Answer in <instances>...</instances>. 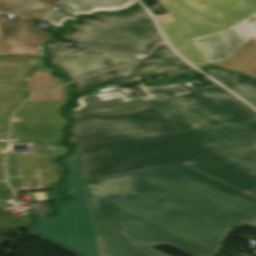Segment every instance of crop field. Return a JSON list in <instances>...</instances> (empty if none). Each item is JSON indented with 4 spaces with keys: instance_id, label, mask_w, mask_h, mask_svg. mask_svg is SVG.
Returning a JSON list of instances; mask_svg holds the SVG:
<instances>
[{
    "instance_id": "obj_1",
    "label": "crop field",
    "mask_w": 256,
    "mask_h": 256,
    "mask_svg": "<svg viewBox=\"0 0 256 256\" xmlns=\"http://www.w3.org/2000/svg\"><path fill=\"white\" fill-rule=\"evenodd\" d=\"M85 182L101 256H167L158 245L210 256L228 228L256 219V199L183 164Z\"/></svg>"
},
{
    "instance_id": "obj_2",
    "label": "crop field",
    "mask_w": 256,
    "mask_h": 256,
    "mask_svg": "<svg viewBox=\"0 0 256 256\" xmlns=\"http://www.w3.org/2000/svg\"><path fill=\"white\" fill-rule=\"evenodd\" d=\"M77 146L85 179L186 161L197 171L248 165L256 121Z\"/></svg>"
},
{
    "instance_id": "obj_3",
    "label": "crop field",
    "mask_w": 256,
    "mask_h": 256,
    "mask_svg": "<svg viewBox=\"0 0 256 256\" xmlns=\"http://www.w3.org/2000/svg\"><path fill=\"white\" fill-rule=\"evenodd\" d=\"M68 142L94 143L256 120V111L218 85L150 102L71 112Z\"/></svg>"
},
{
    "instance_id": "obj_4",
    "label": "crop field",
    "mask_w": 256,
    "mask_h": 256,
    "mask_svg": "<svg viewBox=\"0 0 256 256\" xmlns=\"http://www.w3.org/2000/svg\"><path fill=\"white\" fill-rule=\"evenodd\" d=\"M176 21L161 24L168 41L196 66L206 60L190 39L230 27L256 11L255 0H166Z\"/></svg>"
},
{
    "instance_id": "obj_5",
    "label": "crop field",
    "mask_w": 256,
    "mask_h": 256,
    "mask_svg": "<svg viewBox=\"0 0 256 256\" xmlns=\"http://www.w3.org/2000/svg\"><path fill=\"white\" fill-rule=\"evenodd\" d=\"M61 162L69 171L60 188L71 200L56 206L55 217L39 218L29 230L81 256H100L78 149Z\"/></svg>"
},
{
    "instance_id": "obj_6",
    "label": "crop field",
    "mask_w": 256,
    "mask_h": 256,
    "mask_svg": "<svg viewBox=\"0 0 256 256\" xmlns=\"http://www.w3.org/2000/svg\"><path fill=\"white\" fill-rule=\"evenodd\" d=\"M99 20L83 19L81 25L70 24L77 31L62 35L65 41L100 48L134 53H148L161 40L144 9L137 8L127 15L108 13Z\"/></svg>"
},
{
    "instance_id": "obj_7",
    "label": "crop field",
    "mask_w": 256,
    "mask_h": 256,
    "mask_svg": "<svg viewBox=\"0 0 256 256\" xmlns=\"http://www.w3.org/2000/svg\"><path fill=\"white\" fill-rule=\"evenodd\" d=\"M48 57L52 59V66L63 69L60 76L66 80L80 79L101 71H105L126 63L135 61L133 55L78 46L75 49L46 44Z\"/></svg>"
},
{
    "instance_id": "obj_8",
    "label": "crop field",
    "mask_w": 256,
    "mask_h": 256,
    "mask_svg": "<svg viewBox=\"0 0 256 256\" xmlns=\"http://www.w3.org/2000/svg\"><path fill=\"white\" fill-rule=\"evenodd\" d=\"M0 13V25L8 55L44 57L42 41L52 38L50 34L34 30L32 20L19 15L5 21Z\"/></svg>"
},
{
    "instance_id": "obj_9",
    "label": "crop field",
    "mask_w": 256,
    "mask_h": 256,
    "mask_svg": "<svg viewBox=\"0 0 256 256\" xmlns=\"http://www.w3.org/2000/svg\"><path fill=\"white\" fill-rule=\"evenodd\" d=\"M189 68L187 64L135 62L99 75L75 82L76 91L105 82L126 84L138 79H147Z\"/></svg>"
},
{
    "instance_id": "obj_10",
    "label": "crop field",
    "mask_w": 256,
    "mask_h": 256,
    "mask_svg": "<svg viewBox=\"0 0 256 256\" xmlns=\"http://www.w3.org/2000/svg\"><path fill=\"white\" fill-rule=\"evenodd\" d=\"M105 88V87H102ZM148 96L131 98L127 99L120 92H108L101 94L99 89L94 90L90 94L79 97L78 102L80 104L79 107L71 110H84L90 108L104 107V106H112V105H120V104H128V103H136L143 102L149 100L170 98V97H178L181 95H185L190 93L185 88L181 87L178 84H171L166 86H150L147 87L143 83L137 87Z\"/></svg>"
},
{
    "instance_id": "obj_11",
    "label": "crop field",
    "mask_w": 256,
    "mask_h": 256,
    "mask_svg": "<svg viewBox=\"0 0 256 256\" xmlns=\"http://www.w3.org/2000/svg\"><path fill=\"white\" fill-rule=\"evenodd\" d=\"M249 38H252L251 35L240 22L230 28L192 39V42L207 62H213L227 58Z\"/></svg>"
},
{
    "instance_id": "obj_12",
    "label": "crop field",
    "mask_w": 256,
    "mask_h": 256,
    "mask_svg": "<svg viewBox=\"0 0 256 256\" xmlns=\"http://www.w3.org/2000/svg\"><path fill=\"white\" fill-rule=\"evenodd\" d=\"M202 173L243 193L256 189V164L202 171Z\"/></svg>"
},
{
    "instance_id": "obj_13",
    "label": "crop field",
    "mask_w": 256,
    "mask_h": 256,
    "mask_svg": "<svg viewBox=\"0 0 256 256\" xmlns=\"http://www.w3.org/2000/svg\"><path fill=\"white\" fill-rule=\"evenodd\" d=\"M133 4L134 0H63L56 6L64 12L78 16L92 11L123 10Z\"/></svg>"
},
{
    "instance_id": "obj_14",
    "label": "crop field",
    "mask_w": 256,
    "mask_h": 256,
    "mask_svg": "<svg viewBox=\"0 0 256 256\" xmlns=\"http://www.w3.org/2000/svg\"><path fill=\"white\" fill-rule=\"evenodd\" d=\"M256 77V40H250L227 61L211 64Z\"/></svg>"
},
{
    "instance_id": "obj_15",
    "label": "crop field",
    "mask_w": 256,
    "mask_h": 256,
    "mask_svg": "<svg viewBox=\"0 0 256 256\" xmlns=\"http://www.w3.org/2000/svg\"><path fill=\"white\" fill-rule=\"evenodd\" d=\"M51 6L46 0H0V11L17 13L35 20L42 18Z\"/></svg>"
},
{
    "instance_id": "obj_16",
    "label": "crop field",
    "mask_w": 256,
    "mask_h": 256,
    "mask_svg": "<svg viewBox=\"0 0 256 256\" xmlns=\"http://www.w3.org/2000/svg\"><path fill=\"white\" fill-rule=\"evenodd\" d=\"M207 72L256 107V84L249 81L242 82L237 78L238 74L225 70H209Z\"/></svg>"
},
{
    "instance_id": "obj_17",
    "label": "crop field",
    "mask_w": 256,
    "mask_h": 256,
    "mask_svg": "<svg viewBox=\"0 0 256 256\" xmlns=\"http://www.w3.org/2000/svg\"><path fill=\"white\" fill-rule=\"evenodd\" d=\"M142 61L183 63L165 44H160L154 52Z\"/></svg>"
},
{
    "instance_id": "obj_18",
    "label": "crop field",
    "mask_w": 256,
    "mask_h": 256,
    "mask_svg": "<svg viewBox=\"0 0 256 256\" xmlns=\"http://www.w3.org/2000/svg\"><path fill=\"white\" fill-rule=\"evenodd\" d=\"M66 19H70L72 21H76L77 18L66 14V13H62L56 10H51L47 16L43 19V21L49 22L51 23L50 25L58 27L61 26L63 21Z\"/></svg>"
},
{
    "instance_id": "obj_19",
    "label": "crop field",
    "mask_w": 256,
    "mask_h": 256,
    "mask_svg": "<svg viewBox=\"0 0 256 256\" xmlns=\"http://www.w3.org/2000/svg\"><path fill=\"white\" fill-rule=\"evenodd\" d=\"M253 38H256V12L241 21Z\"/></svg>"
},
{
    "instance_id": "obj_20",
    "label": "crop field",
    "mask_w": 256,
    "mask_h": 256,
    "mask_svg": "<svg viewBox=\"0 0 256 256\" xmlns=\"http://www.w3.org/2000/svg\"><path fill=\"white\" fill-rule=\"evenodd\" d=\"M194 73H195V70H191V71H186V72H182V73H178V74H174V75H170V76H166V77L150 80V81H147V82L148 83L166 82V81L172 80V79H174V78H176L178 76H184L186 78H191Z\"/></svg>"
},
{
    "instance_id": "obj_21",
    "label": "crop field",
    "mask_w": 256,
    "mask_h": 256,
    "mask_svg": "<svg viewBox=\"0 0 256 256\" xmlns=\"http://www.w3.org/2000/svg\"><path fill=\"white\" fill-rule=\"evenodd\" d=\"M0 55H7L5 46H4V42H3V38H2L1 29H0Z\"/></svg>"
},
{
    "instance_id": "obj_22",
    "label": "crop field",
    "mask_w": 256,
    "mask_h": 256,
    "mask_svg": "<svg viewBox=\"0 0 256 256\" xmlns=\"http://www.w3.org/2000/svg\"><path fill=\"white\" fill-rule=\"evenodd\" d=\"M8 127H9V125L5 126V131H4L5 138H8ZM0 141H7V139H0Z\"/></svg>"
},
{
    "instance_id": "obj_23",
    "label": "crop field",
    "mask_w": 256,
    "mask_h": 256,
    "mask_svg": "<svg viewBox=\"0 0 256 256\" xmlns=\"http://www.w3.org/2000/svg\"><path fill=\"white\" fill-rule=\"evenodd\" d=\"M11 228H0V236L4 233H6L7 231H9Z\"/></svg>"
},
{
    "instance_id": "obj_24",
    "label": "crop field",
    "mask_w": 256,
    "mask_h": 256,
    "mask_svg": "<svg viewBox=\"0 0 256 256\" xmlns=\"http://www.w3.org/2000/svg\"><path fill=\"white\" fill-rule=\"evenodd\" d=\"M246 194H248V195H250V196H252V197L256 198V190L251 191V192L246 193Z\"/></svg>"
},
{
    "instance_id": "obj_25",
    "label": "crop field",
    "mask_w": 256,
    "mask_h": 256,
    "mask_svg": "<svg viewBox=\"0 0 256 256\" xmlns=\"http://www.w3.org/2000/svg\"><path fill=\"white\" fill-rule=\"evenodd\" d=\"M252 227L256 228V222L249 223Z\"/></svg>"
},
{
    "instance_id": "obj_26",
    "label": "crop field",
    "mask_w": 256,
    "mask_h": 256,
    "mask_svg": "<svg viewBox=\"0 0 256 256\" xmlns=\"http://www.w3.org/2000/svg\"><path fill=\"white\" fill-rule=\"evenodd\" d=\"M36 154H40L39 148H36Z\"/></svg>"
},
{
    "instance_id": "obj_27",
    "label": "crop field",
    "mask_w": 256,
    "mask_h": 256,
    "mask_svg": "<svg viewBox=\"0 0 256 256\" xmlns=\"http://www.w3.org/2000/svg\"><path fill=\"white\" fill-rule=\"evenodd\" d=\"M4 152H5V149H3V151H2V156H1L2 159L4 157Z\"/></svg>"
},
{
    "instance_id": "obj_28",
    "label": "crop field",
    "mask_w": 256,
    "mask_h": 256,
    "mask_svg": "<svg viewBox=\"0 0 256 256\" xmlns=\"http://www.w3.org/2000/svg\"><path fill=\"white\" fill-rule=\"evenodd\" d=\"M50 1H52V2L56 3V2H58V1H60V0H50Z\"/></svg>"
},
{
    "instance_id": "obj_29",
    "label": "crop field",
    "mask_w": 256,
    "mask_h": 256,
    "mask_svg": "<svg viewBox=\"0 0 256 256\" xmlns=\"http://www.w3.org/2000/svg\"><path fill=\"white\" fill-rule=\"evenodd\" d=\"M161 1V0H160Z\"/></svg>"
}]
</instances>
